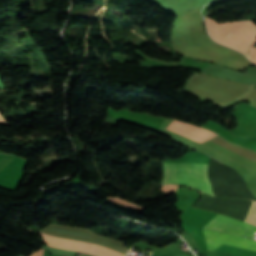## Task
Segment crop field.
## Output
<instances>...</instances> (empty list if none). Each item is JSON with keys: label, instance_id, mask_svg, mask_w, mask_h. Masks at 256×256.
<instances>
[{"label": "crop field", "instance_id": "crop-field-1", "mask_svg": "<svg viewBox=\"0 0 256 256\" xmlns=\"http://www.w3.org/2000/svg\"><path fill=\"white\" fill-rule=\"evenodd\" d=\"M205 21L212 38L242 51L247 56V48L256 39V26L251 21L227 22L221 25L208 18Z\"/></svg>", "mask_w": 256, "mask_h": 256}, {"label": "crop field", "instance_id": "crop-field-2", "mask_svg": "<svg viewBox=\"0 0 256 256\" xmlns=\"http://www.w3.org/2000/svg\"><path fill=\"white\" fill-rule=\"evenodd\" d=\"M207 165L203 163H164L162 184H186L213 195L207 178Z\"/></svg>", "mask_w": 256, "mask_h": 256}, {"label": "crop field", "instance_id": "crop-field-3", "mask_svg": "<svg viewBox=\"0 0 256 256\" xmlns=\"http://www.w3.org/2000/svg\"><path fill=\"white\" fill-rule=\"evenodd\" d=\"M203 229V228H202ZM207 249L215 251L227 238L228 234L208 229H203ZM224 244L256 251V241L230 234Z\"/></svg>", "mask_w": 256, "mask_h": 256}, {"label": "crop field", "instance_id": "crop-field-4", "mask_svg": "<svg viewBox=\"0 0 256 256\" xmlns=\"http://www.w3.org/2000/svg\"><path fill=\"white\" fill-rule=\"evenodd\" d=\"M204 228L225 231L227 233L241 234L252 237L256 231V227L217 214L213 217ZM254 237V236H253Z\"/></svg>", "mask_w": 256, "mask_h": 256}, {"label": "crop field", "instance_id": "crop-field-5", "mask_svg": "<svg viewBox=\"0 0 256 256\" xmlns=\"http://www.w3.org/2000/svg\"><path fill=\"white\" fill-rule=\"evenodd\" d=\"M167 130L185 135L199 143H202V142L206 141L207 139L216 135L210 131H207V130H204L199 127L189 125V124H186L183 122H179L176 120H174L171 123V125L167 128Z\"/></svg>", "mask_w": 256, "mask_h": 256}, {"label": "crop field", "instance_id": "crop-field-6", "mask_svg": "<svg viewBox=\"0 0 256 256\" xmlns=\"http://www.w3.org/2000/svg\"><path fill=\"white\" fill-rule=\"evenodd\" d=\"M246 221L256 225V202L254 201Z\"/></svg>", "mask_w": 256, "mask_h": 256}, {"label": "crop field", "instance_id": "crop-field-7", "mask_svg": "<svg viewBox=\"0 0 256 256\" xmlns=\"http://www.w3.org/2000/svg\"><path fill=\"white\" fill-rule=\"evenodd\" d=\"M255 44H256V42L253 43L252 46L250 47L249 59L256 63V48L253 47Z\"/></svg>", "mask_w": 256, "mask_h": 256}, {"label": "crop field", "instance_id": "crop-field-8", "mask_svg": "<svg viewBox=\"0 0 256 256\" xmlns=\"http://www.w3.org/2000/svg\"><path fill=\"white\" fill-rule=\"evenodd\" d=\"M30 256H44V250L40 248L38 251H36Z\"/></svg>", "mask_w": 256, "mask_h": 256}]
</instances>
